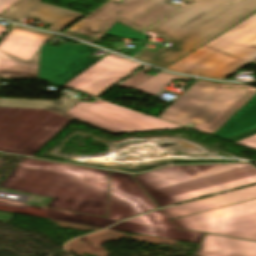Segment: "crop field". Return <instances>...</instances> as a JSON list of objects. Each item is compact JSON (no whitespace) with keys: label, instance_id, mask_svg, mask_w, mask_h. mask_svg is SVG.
Listing matches in <instances>:
<instances>
[{"label":"crop field","instance_id":"412701ff","mask_svg":"<svg viewBox=\"0 0 256 256\" xmlns=\"http://www.w3.org/2000/svg\"><path fill=\"white\" fill-rule=\"evenodd\" d=\"M256 60V14L167 69L225 79Z\"/></svg>","mask_w":256,"mask_h":256},{"label":"crop field","instance_id":"733c2abd","mask_svg":"<svg viewBox=\"0 0 256 256\" xmlns=\"http://www.w3.org/2000/svg\"><path fill=\"white\" fill-rule=\"evenodd\" d=\"M256 128V94L213 136L224 140Z\"/></svg>","mask_w":256,"mask_h":256},{"label":"crop field","instance_id":"34b2d1b8","mask_svg":"<svg viewBox=\"0 0 256 256\" xmlns=\"http://www.w3.org/2000/svg\"><path fill=\"white\" fill-rule=\"evenodd\" d=\"M255 93L246 85L197 80L158 117L212 135Z\"/></svg>","mask_w":256,"mask_h":256},{"label":"crop field","instance_id":"8a807250","mask_svg":"<svg viewBox=\"0 0 256 256\" xmlns=\"http://www.w3.org/2000/svg\"><path fill=\"white\" fill-rule=\"evenodd\" d=\"M170 1L109 0L63 34L94 42L117 21L140 31L180 8ZM180 1L190 4L145 31L167 39L172 45L155 52L144 50L136 59L166 68L256 13V0Z\"/></svg>","mask_w":256,"mask_h":256},{"label":"crop field","instance_id":"e52e79f7","mask_svg":"<svg viewBox=\"0 0 256 256\" xmlns=\"http://www.w3.org/2000/svg\"><path fill=\"white\" fill-rule=\"evenodd\" d=\"M64 115L111 134L183 128L99 99L79 101Z\"/></svg>","mask_w":256,"mask_h":256},{"label":"crop field","instance_id":"92a150f3","mask_svg":"<svg viewBox=\"0 0 256 256\" xmlns=\"http://www.w3.org/2000/svg\"><path fill=\"white\" fill-rule=\"evenodd\" d=\"M134 178L138 181V183L147 191V193L154 199V201L160 206H166L173 204L167 197H165L161 192H159L154 187L150 186L143 180L139 178V176H134Z\"/></svg>","mask_w":256,"mask_h":256},{"label":"crop field","instance_id":"bd1437ed","mask_svg":"<svg viewBox=\"0 0 256 256\" xmlns=\"http://www.w3.org/2000/svg\"><path fill=\"white\" fill-rule=\"evenodd\" d=\"M118 1H121V0H118Z\"/></svg>","mask_w":256,"mask_h":256},{"label":"crop field","instance_id":"5a996713","mask_svg":"<svg viewBox=\"0 0 256 256\" xmlns=\"http://www.w3.org/2000/svg\"><path fill=\"white\" fill-rule=\"evenodd\" d=\"M177 220L186 230L256 240V199Z\"/></svg>","mask_w":256,"mask_h":256},{"label":"crop field","instance_id":"d9b57169","mask_svg":"<svg viewBox=\"0 0 256 256\" xmlns=\"http://www.w3.org/2000/svg\"><path fill=\"white\" fill-rule=\"evenodd\" d=\"M196 256H256V242L207 234Z\"/></svg>","mask_w":256,"mask_h":256},{"label":"crop field","instance_id":"d3111659","mask_svg":"<svg viewBox=\"0 0 256 256\" xmlns=\"http://www.w3.org/2000/svg\"><path fill=\"white\" fill-rule=\"evenodd\" d=\"M8 32L7 28L0 26V37L2 34Z\"/></svg>","mask_w":256,"mask_h":256},{"label":"crop field","instance_id":"ac0d7876","mask_svg":"<svg viewBox=\"0 0 256 256\" xmlns=\"http://www.w3.org/2000/svg\"><path fill=\"white\" fill-rule=\"evenodd\" d=\"M109 172L24 158L0 187L53 198L50 208L106 217Z\"/></svg>","mask_w":256,"mask_h":256},{"label":"crop field","instance_id":"dd49c442","mask_svg":"<svg viewBox=\"0 0 256 256\" xmlns=\"http://www.w3.org/2000/svg\"><path fill=\"white\" fill-rule=\"evenodd\" d=\"M72 120L47 109L0 107V151L31 156Z\"/></svg>","mask_w":256,"mask_h":256},{"label":"crop field","instance_id":"cbeb9de0","mask_svg":"<svg viewBox=\"0 0 256 256\" xmlns=\"http://www.w3.org/2000/svg\"><path fill=\"white\" fill-rule=\"evenodd\" d=\"M42 0H21L6 12L0 15L12 21L18 22L25 15L38 18L37 21L51 24L47 29L61 32L83 14L76 13L47 3Z\"/></svg>","mask_w":256,"mask_h":256},{"label":"crop field","instance_id":"dafd665d","mask_svg":"<svg viewBox=\"0 0 256 256\" xmlns=\"http://www.w3.org/2000/svg\"><path fill=\"white\" fill-rule=\"evenodd\" d=\"M218 165L174 167L191 178Z\"/></svg>","mask_w":256,"mask_h":256},{"label":"crop field","instance_id":"750c4746","mask_svg":"<svg viewBox=\"0 0 256 256\" xmlns=\"http://www.w3.org/2000/svg\"><path fill=\"white\" fill-rule=\"evenodd\" d=\"M172 222L177 226V228H179V229H183V228H182V226L177 222V220H176V219H175V220H173Z\"/></svg>","mask_w":256,"mask_h":256},{"label":"crop field","instance_id":"d1516ede","mask_svg":"<svg viewBox=\"0 0 256 256\" xmlns=\"http://www.w3.org/2000/svg\"><path fill=\"white\" fill-rule=\"evenodd\" d=\"M140 66L128 59L109 54L64 87L96 97Z\"/></svg>","mask_w":256,"mask_h":256},{"label":"crop field","instance_id":"730fd06b","mask_svg":"<svg viewBox=\"0 0 256 256\" xmlns=\"http://www.w3.org/2000/svg\"><path fill=\"white\" fill-rule=\"evenodd\" d=\"M253 134H256V129H253V130H251V131L245 132V133H243V134H241V135H238V136H236V137H234V138H231V139H229V140H227V141L236 142V141H238V140H241V139L246 138V137H248V136H251V135H253Z\"/></svg>","mask_w":256,"mask_h":256},{"label":"crop field","instance_id":"22f410ed","mask_svg":"<svg viewBox=\"0 0 256 256\" xmlns=\"http://www.w3.org/2000/svg\"><path fill=\"white\" fill-rule=\"evenodd\" d=\"M110 229L153 237L187 241L196 244H200L204 236L203 233L177 229L161 210L124 221Z\"/></svg>","mask_w":256,"mask_h":256},{"label":"crop field","instance_id":"4177f3b9","mask_svg":"<svg viewBox=\"0 0 256 256\" xmlns=\"http://www.w3.org/2000/svg\"><path fill=\"white\" fill-rule=\"evenodd\" d=\"M19 0H0V13L13 6Z\"/></svg>","mask_w":256,"mask_h":256},{"label":"crop field","instance_id":"f4fd0767","mask_svg":"<svg viewBox=\"0 0 256 256\" xmlns=\"http://www.w3.org/2000/svg\"><path fill=\"white\" fill-rule=\"evenodd\" d=\"M174 203L256 182L250 163L220 165L192 179L169 167L139 175Z\"/></svg>","mask_w":256,"mask_h":256},{"label":"crop field","instance_id":"ae1a2a85","mask_svg":"<svg viewBox=\"0 0 256 256\" xmlns=\"http://www.w3.org/2000/svg\"><path fill=\"white\" fill-rule=\"evenodd\" d=\"M60 47H67V48L75 47V48H76V47H78V46L62 44ZM80 47H81V48H82V47H85V45H81ZM87 47H88V46H87ZM89 48H91V47H89ZM91 49L95 50L94 48H91Z\"/></svg>","mask_w":256,"mask_h":256},{"label":"crop field","instance_id":"d8731c3e","mask_svg":"<svg viewBox=\"0 0 256 256\" xmlns=\"http://www.w3.org/2000/svg\"><path fill=\"white\" fill-rule=\"evenodd\" d=\"M131 176L112 172L108 219L44 209L50 218L54 220L106 227L126 217L156 208V205Z\"/></svg>","mask_w":256,"mask_h":256},{"label":"crop field","instance_id":"214f88e0","mask_svg":"<svg viewBox=\"0 0 256 256\" xmlns=\"http://www.w3.org/2000/svg\"><path fill=\"white\" fill-rule=\"evenodd\" d=\"M0 210L49 218L43 208L28 206L18 202L0 200Z\"/></svg>","mask_w":256,"mask_h":256},{"label":"crop field","instance_id":"3316defc","mask_svg":"<svg viewBox=\"0 0 256 256\" xmlns=\"http://www.w3.org/2000/svg\"><path fill=\"white\" fill-rule=\"evenodd\" d=\"M53 35L15 26L0 41V77L36 79L40 46Z\"/></svg>","mask_w":256,"mask_h":256},{"label":"crop field","instance_id":"00972430","mask_svg":"<svg viewBox=\"0 0 256 256\" xmlns=\"http://www.w3.org/2000/svg\"><path fill=\"white\" fill-rule=\"evenodd\" d=\"M152 76L145 75L143 73L137 72L127 80H125L123 83H121L119 86L126 87V88H133L140 83L146 81L147 79L151 78Z\"/></svg>","mask_w":256,"mask_h":256},{"label":"crop field","instance_id":"4a817a6b","mask_svg":"<svg viewBox=\"0 0 256 256\" xmlns=\"http://www.w3.org/2000/svg\"><path fill=\"white\" fill-rule=\"evenodd\" d=\"M78 100L77 98L68 99L64 97H61L57 101L0 98V106L47 108L62 114Z\"/></svg>","mask_w":256,"mask_h":256},{"label":"crop field","instance_id":"a9b5d70f","mask_svg":"<svg viewBox=\"0 0 256 256\" xmlns=\"http://www.w3.org/2000/svg\"><path fill=\"white\" fill-rule=\"evenodd\" d=\"M236 143L248 146L250 148L256 149V135H253L251 137H248L246 139H243L241 141H238Z\"/></svg>","mask_w":256,"mask_h":256},{"label":"crop field","instance_id":"5142ce71","mask_svg":"<svg viewBox=\"0 0 256 256\" xmlns=\"http://www.w3.org/2000/svg\"><path fill=\"white\" fill-rule=\"evenodd\" d=\"M256 198V186L162 209L169 219Z\"/></svg>","mask_w":256,"mask_h":256},{"label":"crop field","instance_id":"bc2a9ffb","mask_svg":"<svg viewBox=\"0 0 256 256\" xmlns=\"http://www.w3.org/2000/svg\"><path fill=\"white\" fill-rule=\"evenodd\" d=\"M174 79L185 80V81L191 80V78H185V77L175 76L169 73L161 72L158 75L154 76L153 78L135 87L134 89L156 97L159 94L161 87L167 85Z\"/></svg>","mask_w":256,"mask_h":256},{"label":"crop field","instance_id":"28ad6ade","mask_svg":"<svg viewBox=\"0 0 256 256\" xmlns=\"http://www.w3.org/2000/svg\"><path fill=\"white\" fill-rule=\"evenodd\" d=\"M94 51L57 48L44 44L41 46L38 68V80L50 82L62 87L74 79L98 60L88 57Z\"/></svg>","mask_w":256,"mask_h":256},{"label":"crop field","instance_id":"eef30255","mask_svg":"<svg viewBox=\"0 0 256 256\" xmlns=\"http://www.w3.org/2000/svg\"><path fill=\"white\" fill-rule=\"evenodd\" d=\"M143 47H145L144 45H140L139 47H137L129 56L133 57L136 53H138Z\"/></svg>","mask_w":256,"mask_h":256}]
</instances>
